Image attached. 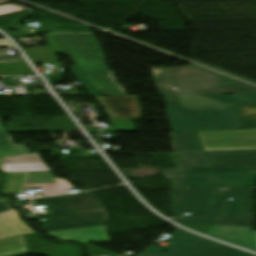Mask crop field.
Here are the masks:
<instances>
[{
    "mask_svg": "<svg viewBox=\"0 0 256 256\" xmlns=\"http://www.w3.org/2000/svg\"><path fill=\"white\" fill-rule=\"evenodd\" d=\"M173 131L241 129L233 106L254 104L253 95H164Z\"/></svg>",
    "mask_w": 256,
    "mask_h": 256,
    "instance_id": "obj_1",
    "label": "crop field"
},
{
    "mask_svg": "<svg viewBox=\"0 0 256 256\" xmlns=\"http://www.w3.org/2000/svg\"><path fill=\"white\" fill-rule=\"evenodd\" d=\"M255 188L187 189L184 213L190 216H217L214 225L253 226L251 201ZM233 198V200H228Z\"/></svg>",
    "mask_w": 256,
    "mask_h": 256,
    "instance_id": "obj_2",
    "label": "crop field"
},
{
    "mask_svg": "<svg viewBox=\"0 0 256 256\" xmlns=\"http://www.w3.org/2000/svg\"><path fill=\"white\" fill-rule=\"evenodd\" d=\"M162 94H252L256 89L229 80L193 65L152 68ZM176 87L177 90H173Z\"/></svg>",
    "mask_w": 256,
    "mask_h": 256,
    "instance_id": "obj_3",
    "label": "crop field"
},
{
    "mask_svg": "<svg viewBox=\"0 0 256 256\" xmlns=\"http://www.w3.org/2000/svg\"><path fill=\"white\" fill-rule=\"evenodd\" d=\"M40 204H48L53 213L38 216L51 220L43 227L45 231L106 225L108 219L106 209L93 194L34 199L33 205Z\"/></svg>",
    "mask_w": 256,
    "mask_h": 256,
    "instance_id": "obj_4",
    "label": "crop field"
},
{
    "mask_svg": "<svg viewBox=\"0 0 256 256\" xmlns=\"http://www.w3.org/2000/svg\"><path fill=\"white\" fill-rule=\"evenodd\" d=\"M256 167L188 169L187 188L254 187Z\"/></svg>",
    "mask_w": 256,
    "mask_h": 256,
    "instance_id": "obj_5",
    "label": "crop field"
},
{
    "mask_svg": "<svg viewBox=\"0 0 256 256\" xmlns=\"http://www.w3.org/2000/svg\"><path fill=\"white\" fill-rule=\"evenodd\" d=\"M204 150L256 149V130L197 131Z\"/></svg>",
    "mask_w": 256,
    "mask_h": 256,
    "instance_id": "obj_6",
    "label": "crop field"
},
{
    "mask_svg": "<svg viewBox=\"0 0 256 256\" xmlns=\"http://www.w3.org/2000/svg\"><path fill=\"white\" fill-rule=\"evenodd\" d=\"M10 181L7 185V193H21L22 189L42 188L43 196H53L67 193L72 189L71 185L59 178L54 177L50 172L38 173H9ZM34 185V187H31Z\"/></svg>",
    "mask_w": 256,
    "mask_h": 256,
    "instance_id": "obj_7",
    "label": "crop field"
},
{
    "mask_svg": "<svg viewBox=\"0 0 256 256\" xmlns=\"http://www.w3.org/2000/svg\"><path fill=\"white\" fill-rule=\"evenodd\" d=\"M110 68H71L88 95H126Z\"/></svg>",
    "mask_w": 256,
    "mask_h": 256,
    "instance_id": "obj_8",
    "label": "crop field"
},
{
    "mask_svg": "<svg viewBox=\"0 0 256 256\" xmlns=\"http://www.w3.org/2000/svg\"><path fill=\"white\" fill-rule=\"evenodd\" d=\"M69 50L78 66H105L92 34H55Z\"/></svg>",
    "mask_w": 256,
    "mask_h": 256,
    "instance_id": "obj_9",
    "label": "crop field"
},
{
    "mask_svg": "<svg viewBox=\"0 0 256 256\" xmlns=\"http://www.w3.org/2000/svg\"><path fill=\"white\" fill-rule=\"evenodd\" d=\"M110 118L141 117L136 96H95Z\"/></svg>",
    "mask_w": 256,
    "mask_h": 256,
    "instance_id": "obj_10",
    "label": "crop field"
},
{
    "mask_svg": "<svg viewBox=\"0 0 256 256\" xmlns=\"http://www.w3.org/2000/svg\"><path fill=\"white\" fill-rule=\"evenodd\" d=\"M198 239L199 237L176 228L168 239L173 242L166 249V254L161 252L164 248L152 245L139 256H185Z\"/></svg>",
    "mask_w": 256,
    "mask_h": 256,
    "instance_id": "obj_11",
    "label": "crop field"
},
{
    "mask_svg": "<svg viewBox=\"0 0 256 256\" xmlns=\"http://www.w3.org/2000/svg\"><path fill=\"white\" fill-rule=\"evenodd\" d=\"M252 227L212 226L207 235L256 251V233Z\"/></svg>",
    "mask_w": 256,
    "mask_h": 256,
    "instance_id": "obj_12",
    "label": "crop field"
},
{
    "mask_svg": "<svg viewBox=\"0 0 256 256\" xmlns=\"http://www.w3.org/2000/svg\"><path fill=\"white\" fill-rule=\"evenodd\" d=\"M212 167L256 166V150L207 151Z\"/></svg>",
    "mask_w": 256,
    "mask_h": 256,
    "instance_id": "obj_13",
    "label": "crop field"
},
{
    "mask_svg": "<svg viewBox=\"0 0 256 256\" xmlns=\"http://www.w3.org/2000/svg\"><path fill=\"white\" fill-rule=\"evenodd\" d=\"M47 234L64 241H80L82 243L110 240L106 226L51 231Z\"/></svg>",
    "mask_w": 256,
    "mask_h": 256,
    "instance_id": "obj_14",
    "label": "crop field"
},
{
    "mask_svg": "<svg viewBox=\"0 0 256 256\" xmlns=\"http://www.w3.org/2000/svg\"><path fill=\"white\" fill-rule=\"evenodd\" d=\"M32 254L43 256H80L81 246L54 245L40 240L36 234L25 235Z\"/></svg>",
    "mask_w": 256,
    "mask_h": 256,
    "instance_id": "obj_15",
    "label": "crop field"
},
{
    "mask_svg": "<svg viewBox=\"0 0 256 256\" xmlns=\"http://www.w3.org/2000/svg\"><path fill=\"white\" fill-rule=\"evenodd\" d=\"M0 170L4 172L49 171L38 154L19 157L0 156Z\"/></svg>",
    "mask_w": 256,
    "mask_h": 256,
    "instance_id": "obj_16",
    "label": "crop field"
},
{
    "mask_svg": "<svg viewBox=\"0 0 256 256\" xmlns=\"http://www.w3.org/2000/svg\"><path fill=\"white\" fill-rule=\"evenodd\" d=\"M44 37L49 46L24 49L33 63L57 62L54 53L68 52L54 34Z\"/></svg>",
    "mask_w": 256,
    "mask_h": 256,
    "instance_id": "obj_17",
    "label": "crop field"
},
{
    "mask_svg": "<svg viewBox=\"0 0 256 256\" xmlns=\"http://www.w3.org/2000/svg\"><path fill=\"white\" fill-rule=\"evenodd\" d=\"M30 233L34 232L19 219L16 211L0 215V239Z\"/></svg>",
    "mask_w": 256,
    "mask_h": 256,
    "instance_id": "obj_18",
    "label": "crop field"
},
{
    "mask_svg": "<svg viewBox=\"0 0 256 256\" xmlns=\"http://www.w3.org/2000/svg\"><path fill=\"white\" fill-rule=\"evenodd\" d=\"M189 256H253L233 248L202 239Z\"/></svg>",
    "mask_w": 256,
    "mask_h": 256,
    "instance_id": "obj_19",
    "label": "crop field"
},
{
    "mask_svg": "<svg viewBox=\"0 0 256 256\" xmlns=\"http://www.w3.org/2000/svg\"><path fill=\"white\" fill-rule=\"evenodd\" d=\"M183 192L184 189L172 190L170 193L171 207L174 218L171 219L181 225H212L215 218L206 219H181L183 208Z\"/></svg>",
    "mask_w": 256,
    "mask_h": 256,
    "instance_id": "obj_20",
    "label": "crop field"
},
{
    "mask_svg": "<svg viewBox=\"0 0 256 256\" xmlns=\"http://www.w3.org/2000/svg\"><path fill=\"white\" fill-rule=\"evenodd\" d=\"M175 152L202 151L195 131L172 132Z\"/></svg>",
    "mask_w": 256,
    "mask_h": 256,
    "instance_id": "obj_21",
    "label": "crop field"
},
{
    "mask_svg": "<svg viewBox=\"0 0 256 256\" xmlns=\"http://www.w3.org/2000/svg\"><path fill=\"white\" fill-rule=\"evenodd\" d=\"M27 253L22 235L0 240V256H17Z\"/></svg>",
    "mask_w": 256,
    "mask_h": 256,
    "instance_id": "obj_22",
    "label": "crop field"
},
{
    "mask_svg": "<svg viewBox=\"0 0 256 256\" xmlns=\"http://www.w3.org/2000/svg\"><path fill=\"white\" fill-rule=\"evenodd\" d=\"M177 168L209 167L203 153L195 154H171Z\"/></svg>",
    "mask_w": 256,
    "mask_h": 256,
    "instance_id": "obj_23",
    "label": "crop field"
},
{
    "mask_svg": "<svg viewBox=\"0 0 256 256\" xmlns=\"http://www.w3.org/2000/svg\"><path fill=\"white\" fill-rule=\"evenodd\" d=\"M29 154L25 145H12L8 134H0V155L19 156Z\"/></svg>",
    "mask_w": 256,
    "mask_h": 256,
    "instance_id": "obj_24",
    "label": "crop field"
},
{
    "mask_svg": "<svg viewBox=\"0 0 256 256\" xmlns=\"http://www.w3.org/2000/svg\"><path fill=\"white\" fill-rule=\"evenodd\" d=\"M243 128L256 129V105L236 106Z\"/></svg>",
    "mask_w": 256,
    "mask_h": 256,
    "instance_id": "obj_25",
    "label": "crop field"
},
{
    "mask_svg": "<svg viewBox=\"0 0 256 256\" xmlns=\"http://www.w3.org/2000/svg\"><path fill=\"white\" fill-rule=\"evenodd\" d=\"M1 75H31L34 72L26 63L0 64Z\"/></svg>",
    "mask_w": 256,
    "mask_h": 256,
    "instance_id": "obj_26",
    "label": "crop field"
},
{
    "mask_svg": "<svg viewBox=\"0 0 256 256\" xmlns=\"http://www.w3.org/2000/svg\"><path fill=\"white\" fill-rule=\"evenodd\" d=\"M162 175H171L172 189L185 188L186 169H162Z\"/></svg>",
    "mask_w": 256,
    "mask_h": 256,
    "instance_id": "obj_27",
    "label": "crop field"
},
{
    "mask_svg": "<svg viewBox=\"0 0 256 256\" xmlns=\"http://www.w3.org/2000/svg\"><path fill=\"white\" fill-rule=\"evenodd\" d=\"M118 131H132L136 130L129 119L110 120Z\"/></svg>",
    "mask_w": 256,
    "mask_h": 256,
    "instance_id": "obj_28",
    "label": "crop field"
},
{
    "mask_svg": "<svg viewBox=\"0 0 256 256\" xmlns=\"http://www.w3.org/2000/svg\"><path fill=\"white\" fill-rule=\"evenodd\" d=\"M0 63L24 62L21 56H6L4 50H0Z\"/></svg>",
    "mask_w": 256,
    "mask_h": 256,
    "instance_id": "obj_29",
    "label": "crop field"
},
{
    "mask_svg": "<svg viewBox=\"0 0 256 256\" xmlns=\"http://www.w3.org/2000/svg\"><path fill=\"white\" fill-rule=\"evenodd\" d=\"M86 246L88 247L89 256H95L96 254H103V255H108V256H118L115 254H111V253H109L99 247H96L94 245H91V244H87Z\"/></svg>",
    "mask_w": 256,
    "mask_h": 256,
    "instance_id": "obj_30",
    "label": "crop field"
},
{
    "mask_svg": "<svg viewBox=\"0 0 256 256\" xmlns=\"http://www.w3.org/2000/svg\"><path fill=\"white\" fill-rule=\"evenodd\" d=\"M186 228L201 232L203 234L206 233V231L209 229L210 226H184Z\"/></svg>",
    "mask_w": 256,
    "mask_h": 256,
    "instance_id": "obj_31",
    "label": "crop field"
},
{
    "mask_svg": "<svg viewBox=\"0 0 256 256\" xmlns=\"http://www.w3.org/2000/svg\"><path fill=\"white\" fill-rule=\"evenodd\" d=\"M0 48H13L6 39H0Z\"/></svg>",
    "mask_w": 256,
    "mask_h": 256,
    "instance_id": "obj_32",
    "label": "crop field"
},
{
    "mask_svg": "<svg viewBox=\"0 0 256 256\" xmlns=\"http://www.w3.org/2000/svg\"><path fill=\"white\" fill-rule=\"evenodd\" d=\"M9 181V174L5 173V180L2 183V193H6V184Z\"/></svg>",
    "mask_w": 256,
    "mask_h": 256,
    "instance_id": "obj_33",
    "label": "crop field"
},
{
    "mask_svg": "<svg viewBox=\"0 0 256 256\" xmlns=\"http://www.w3.org/2000/svg\"><path fill=\"white\" fill-rule=\"evenodd\" d=\"M9 209L4 205L3 202H0V213L4 211H8Z\"/></svg>",
    "mask_w": 256,
    "mask_h": 256,
    "instance_id": "obj_34",
    "label": "crop field"
},
{
    "mask_svg": "<svg viewBox=\"0 0 256 256\" xmlns=\"http://www.w3.org/2000/svg\"><path fill=\"white\" fill-rule=\"evenodd\" d=\"M0 133H6L4 128H3V125L1 123V121H0Z\"/></svg>",
    "mask_w": 256,
    "mask_h": 256,
    "instance_id": "obj_35",
    "label": "crop field"
},
{
    "mask_svg": "<svg viewBox=\"0 0 256 256\" xmlns=\"http://www.w3.org/2000/svg\"><path fill=\"white\" fill-rule=\"evenodd\" d=\"M8 205H9V207L12 209V206H11V201H8V202H6Z\"/></svg>",
    "mask_w": 256,
    "mask_h": 256,
    "instance_id": "obj_36",
    "label": "crop field"
},
{
    "mask_svg": "<svg viewBox=\"0 0 256 256\" xmlns=\"http://www.w3.org/2000/svg\"><path fill=\"white\" fill-rule=\"evenodd\" d=\"M10 0H0V3L8 2Z\"/></svg>",
    "mask_w": 256,
    "mask_h": 256,
    "instance_id": "obj_37",
    "label": "crop field"
},
{
    "mask_svg": "<svg viewBox=\"0 0 256 256\" xmlns=\"http://www.w3.org/2000/svg\"><path fill=\"white\" fill-rule=\"evenodd\" d=\"M0 180H1V176H0ZM0 199H9V198H1V197H0Z\"/></svg>",
    "mask_w": 256,
    "mask_h": 256,
    "instance_id": "obj_38",
    "label": "crop field"
},
{
    "mask_svg": "<svg viewBox=\"0 0 256 256\" xmlns=\"http://www.w3.org/2000/svg\"><path fill=\"white\" fill-rule=\"evenodd\" d=\"M0 201H8V200H0Z\"/></svg>",
    "mask_w": 256,
    "mask_h": 256,
    "instance_id": "obj_39",
    "label": "crop field"
}]
</instances>
